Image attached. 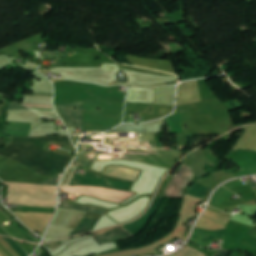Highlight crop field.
Instances as JSON below:
<instances>
[{"mask_svg":"<svg viewBox=\"0 0 256 256\" xmlns=\"http://www.w3.org/2000/svg\"><path fill=\"white\" fill-rule=\"evenodd\" d=\"M10 138L12 142L0 149V155L11 157L40 174L58 175L73 160L72 157L41 150L44 143L50 141L74 148L68 136Z\"/></svg>","mask_w":256,"mask_h":256,"instance_id":"crop-field-1","label":"crop field"},{"mask_svg":"<svg viewBox=\"0 0 256 256\" xmlns=\"http://www.w3.org/2000/svg\"><path fill=\"white\" fill-rule=\"evenodd\" d=\"M4 184H9V191L17 192L56 194L57 188V186H41L31 184ZM8 203L14 205L43 206L56 208V195L9 192Z\"/></svg>","mask_w":256,"mask_h":256,"instance_id":"crop-field-2","label":"crop field"},{"mask_svg":"<svg viewBox=\"0 0 256 256\" xmlns=\"http://www.w3.org/2000/svg\"><path fill=\"white\" fill-rule=\"evenodd\" d=\"M193 176L191 169L183 164L177 175L169 184L165 195L181 198L182 190L190 181H192Z\"/></svg>","mask_w":256,"mask_h":256,"instance_id":"crop-field-3","label":"crop field"},{"mask_svg":"<svg viewBox=\"0 0 256 256\" xmlns=\"http://www.w3.org/2000/svg\"><path fill=\"white\" fill-rule=\"evenodd\" d=\"M82 104L83 101L57 106L58 113L67 127L81 126ZM73 107H76L77 110H73Z\"/></svg>","mask_w":256,"mask_h":256,"instance_id":"crop-field-4","label":"crop field"},{"mask_svg":"<svg viewBox=\"0 0 256 256\" xmlns=\"http://www.w3.org/2000/svg\"><path fill=\"white\" fill-rule=\"evenodd\" d=\"M163 199H164V197L156 196L144 216H142L139 220L129 223L127 225H124L122 227L125 228L127 231H129L134 236L138 235L141 231L144 230L146 224L148 223V221L150 220V218L152 217L154 212L159 208Z\"/></svg>","mask_w":256,"mask_h":256,"instance_id":"crop-field-5","label":"crop field"},{"mask_svg":"<svg viewBox=\"0 0 256 256\" xmlns=\"http://www.w3.org/2000/svg\"><path fill=\"white\" fill-rule=\"evenodd\" d=\"M91 235L96 239V241L99 244L118 240V239L129 238L132 236L121 226L104 230V231L94 232Z\"/></svg>","mask_w":256,"mask_h":256,"instance_id":"crop-field-6","label":"crop field"},{"mask_svg":"<svg viewBox=\"0 0 256 256\" xmlns=\"http://www.w3.org/2000/svg\"><path fill=\"white\" fill-rule=\"evenodd\" d=\"M225 230L226 229L210 232V231L195 228L190 241L205 248L209 243H211L216 238L222 239L224 236Z\"/></svg>","mask_w":256,"mask_h":256,"instance_id":"crop-field-7","label":"crop field"},{"mask_svg":"<svg viewBox=\"0 0 256 256\" xmlns=\"http://www.w3.org/2000/svg\"><path fill=\"white\" fill-rule=\"evenodd\" d=\"M140 171L132 170L121 166H109L106 167L103 175L119 177L127 180L134 181L139 175Z\"/></svg>","mask_w":256,"mask_h":256,"instance_id":"crop-field-8","label":"crop field"},{"mask_svg":"<svg viewBox=\"0 0 256 256\" xmlns=\"http://www.w3.org/2000/svg\"><path fill=\"white\" fill-rule=\"evenodd\" d=\"M160 121L144 124V125H121L112 131L119 132H153L157 133L160 128Z\"/></svg>","mask_w":256,"mask_h":256,"instance_id":"crop-field-9","label":"crop field"},{"mask_svg":"<svg viewBox=\"0 0 256 256\" xmlns=\"http://www.w3.org/2000/svg\"><path fill=\"white\" fill-rule=\"evenodd\" d=\"M11 125H6L5 134L12 136H28L30 133V123L9 122Z\"/></svg>","mask_w":256,"mask_h":256,"instance_id":"crop-field-10","label":"crop field"},{"mask_svg":"<svg viewBox=\"0 0 256 256\" xmlns=\"http://www.w3.org/2000/svg\"><path fill=\"white\" fill-rule=\"evenodd\" d=\"M169 133H182V125L179 114L167 117Z\"/></svg>","mask_w":256,"mask_h":256,"instance_id":"crop-field-11","label":"crop field"},{"mask_svg":"<svg viewBox=\"0 0 256 256\" xmlns=\"http://www.w3.org/2000/svg\"><path fill=\"white\" fill-rule=\"evenodd\" d=\"M59 208L63 209H69V210H80V211H87L95 214L102 215L105 210L97 209V208H92V207H85V206H79V205H74V204H65V203H59Z\"/></svg>","mask_w":256,"mask_h":256,"instance_id":"crop-field-12","label":"crop field"},{"mask_svg":"<svg viewBox=\"0 0 256 256\" xmlns=\"http://www.w3.org/2000/svg\"><path fill=\"white\" fill-rule=\"evenodd\" d=\"M95 223H96L95 220L84 218V220L79 224V226L73 231L71 235H76V234L90 231L95 225Z\"/></svg>","mask_w":256,"mask_h":256,"instance_id":"crop-field-13","label":"crop field"},{"mask_svg":"<svg viewBox=\"0 0 256 256\" xmlns=\"http://www.w3.org/2000/svg\"><path fill=\"white\" fill-rule=\"evenodd\" d=\"M208 191V188L199 184V183H194L193 186L189 189L188 194L193 196V197H197L202 199L204 197V195L206 194V192Z\"/></svg>","mask_w":256,"mask_h":256,"instance_id":"crop-field-14","label":"crop field"},{"mask_svg":"<svg viewBox=\"0 0 256 256\" xmlns=\"http://www.w3.org/2000/svg\"><path fill=\"white\" fill-rule=\"evenodd\" d=\"M174 256H206V255H204V254L196 251L194 248L186 245L183 249H181Z\"/></svg>","mask_w":256,"mask_h":256,"instance_id":"crop-field-15","label":"crop field"},{"mask_svg":"<svg viewBox=\"0 0 256 256\" xmlns=\"http://www.w3.org/2000/svg\"><path fill=\"white\" fill-rule=\"evenodd\" d=\"M3 239L10 245V247H11L19 256H28L14 240L6 239V238H3Z\"/></svg>","mask_w":256,"mask_h":256,"instance_id":"crop-field-16","label":"crop field"},{"mask_svg":"<svg viewBox=\"0 0 256 256\" xmlns=\"http://www.w3.org/2000/svg\"><path fill=\"white\" fill-rule=\"evenodd\" d=\"M32 109H43V110H52L51 106H42V105H30V104H24Z\"/></svg>","mask_w":256,"mask_h":256,"instance_id":"crop-field-17","label":"crop field"},{"mask_svg":"<svg viewBox=\"0 0 256 256\" xmlns=\"http://www.w3.org/2000/svg\"><path fill=\"white\" fill-rule=\"evenodd\" d=\"M59 176L52 178L50 180H47L43 183H40L41 185H57V181H58Z\"/></svg>","mask_w":256,"mask_h":256,"instance_id":"crop-field-18","label":"crop field"},{"mask_svg":"<svg viewBox=\"0 0 256 256\" xmlns=\"http://www.w3.org/2000/svg\"><path fill=\"white\" fill-rule=\"evenodd\" d=\"M20 109H28L21 104H10L9 105V110H20Z\"/></svg>","mask_w":256,"mask_h":256,"instance_id":"crop-field-19","label":"crop field"},{"mask_svg":"<svg viewBox=\"0 0 256 256\" xmlns=\"http://www.w3.org/2000/svg\"><path fill=\"white\" fill-rule=\"evenodd\" d=\"M79 163L81 166L90 167L92 161H78L74 162L73 164Z\"/></svg>","mask_w":256,"mask_h":256,"instance_id":"crop-field-20","label":"crop field"},{"mask_svg":"<svg viewBox=\"0 0 256 256\" xmlns=\"http://www.w3.org/2000/svg\"><path fill=\"white\" fill-rule=\"evenodd\" d=\"M228 253H229V250H221L215 256H227Z\"/></svg>","mask_w":256,"mask_h":256,"instance_id":"crop-field-21","label":"crop field"},{"mask_svg":"<svg viewBox=\"0 0 256 256\" xmlns=\"http://www.w3.org/2000/svg\"><path fill=\"white\" fill-rule=\"evenodd\" d=\"M34 96L52 97V94L35 93Z\"/></svg>","mask_w":256,"mask_h":256,"instance_id":"crop-field-22","label":"crop field"},{"mask_svg":"<svg viewBox=\"0 0 256 256\" xmlns=\"http://www.w3.org/2000/svg\"><path fill=\"white\" fill-rule=\"evenodd\" d=\"M60 244H61V241L55 242V243H51V244H47V245H45V246H48V247H55V246H58V245H60Z\"/></svg>","mask_w":256,"mask_h":256,"instance_id":"crop-field-23","label":"crop field"},{"mask_svg":"<svg viewBox=\"0 0 256 256\" xmlns=\"http://www.w3.org/2000/svg\"><path fill=\"white\" fill-rule=\"evenodd\" d=\"M48 56V55H47ZM48 57H59V55H50Z\"/></svg>","mask_w":256,"mask_h":256,"instance_id":"crop-field-24","label":"crop field"}]
</instances>
